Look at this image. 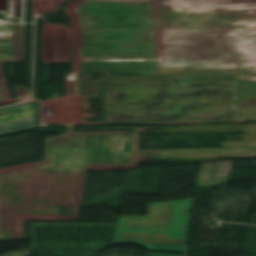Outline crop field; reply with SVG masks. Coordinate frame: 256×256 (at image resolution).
Wrapping results in <instances>:
<instances>
[{"label":"crop field","instance_id":"crop-field-1","mask_svg":"<svg viewBox=\"0 0 256 256\" xmlns=\"http://www.w3.org/2000/svg\"><path fill=\"white\" fill-rule=\"evenodd\" d=\"M194 200L150 204L144 217L120 216L115 242L186 244Z\"/></svg>","mask_w":256,"mask_h":256},{"label":"crop field","instance_id":"crop-field-2","mask_svg":"<svg viewBox=\"0 0 256 256\" xmlns=\"http://www.w3.org/2000/svg\"><path fill=\"white\" fill-rule=\"evenodd\" d=\"M33 103L0 110V124L32 117Z\"/></svg>","mask_w":256,"mask_h":256},{"label":"crop field","instance_id":"crop-field-3","mask_svg":"<svg viewBox=\"0 0 256 256\" xmlns=\"http://www.w3.org/2000/svg\"><path fill=\"white\" fill-rule=\"evenodd\" d=\"M36 127L34 118L0 125V133Z\"/></svg>","mask_w":256,"mask_h":256},{"label":"crop field","instance_id":"crop-field-4","mask_svg":"<svg viewBox=\"0 0 256 256\" xmlns=\"http://www.w3.org/2000/svg\"><path fill=\"white\" fill-rule=\"evenodd\" d=\"M149 251L185 252L186 245L135 244Z\"/></svg>","mask_w":256,"mask_h":256}]
</instances>
